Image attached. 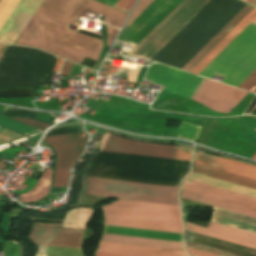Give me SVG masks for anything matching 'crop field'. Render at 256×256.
Here are the masks:
<instances>
[{"label":"crop field","instance_id":"obj_1","mask_svg":"<svg viewBox=\"0 0 256 256\" xmlns=\"http://www.w3.org/2000/svg\"><path fill=\"white\" fill-rule=\"evenodd\" d=\"M90 10L104 17L105 23L121 28L127 13L94 0H44L16 44L39 47L78 64L85 56L96 60L102 41L66 29Z\"/></svg>","mask_w":256,"mask_h":256},{"label":"crop field","instance_id":"obj_2","mask_svg":"<svg viewBox=\"0 0 256 256\" xmlns=\"http://www.w3.org/2000/svg\"><path fill=\"white\" fill-rule=\"evenodd\" d=\"M244 6L211 0L152 60L181 69Z\"/></svg>","mask_w":256,"mask_h":256},{"label":"crop field","instance_id":"obj_3","mask_svg":"<svg viewBox=\"0 0 256 256\" xmlns=\"http://www.w3.org/2000/svg\"><path fill=\"white\" fill-rule=\"evenodd\" d=\"M256 24V19L253 21ZM251 23L199 76L225 77L222 83L237 87L256 68V25ZM256 93V69L238 86Z\"/></svg>","mask_w":256,"mask_h":256},{"label":"crop field","instance_id":"obj_4","mask_svg":"<svg viewBox=\"0 0 256 256\" xmlns=\"http://www.w3.org/2000/svg\"><path fill=\"white\" fill-rule=\"evenodd\" d=\"M105 225L182 233L179 206L119 200L102 207Z\"/></svg>","mask_w":256,"mask_h":256},{"label":"crop field","instance_id":"obj_5","mask_svg":"<svg viewBox=\"0 0 256 256\" xmlns=\"http://www.w3.org/2000/svg\"><path fill=\"white\" fill-rule=\"evenodd\" d=\"M56 59L40 50L8 45L0 59V88L50 83Z\"/></svg>","mask_w":256,"mask_h":256},{"label":"crop field","instance_id":"obj_6","mask_svg":"<svg viewBox=\"0 0 256 256\" xmlns=\"http://www.w3.org/2000/svg\"><path fill=\"white\" fill-rule=\"evenodd\" d=\"M179 188L88 177L85 194L178 205Z\"/></svg>","mask_w":256,"mask_h":256},{"label":"crop field","instance_id":"obj_7","mask_svg":"<svg viewBox=\"0 0 256 256\" xmlns=\"http://www.w3.org/2000/svg\"><path fill=\"white\" fill-rule=\"evenodd\" d=\"M211 221L256 233V219L218 208L213 207ZM212 222L208 228L186 222L185 223L188 231L204 234L256 249V234Z\"/></svg>","mask_w":256,"mask_h":256},{"label":"crop field","instance_id":"obj_8","mask_svg":"<svg viewBox=\"0 0 256 256\" xmlns=\"http://www.w3.org/2000/svg\"><path fill=\"white\" fill-rule=\"evenodd\" d=\"M194 163L256 180V166H252L240 161L195 152ZM195 164L192 170L193 173L201 174L204 176H208L211 178L219 179L222 181L230 182L233 184H237L240 186L256 190V181L220 172L210 168L202 167Z\"/></svg>","mask_w":256,"mask_h":256},{"label":"crop field","instance_id":"obj_9","mask_svg":"<svg viewBox=\"0 0 256 256\" xmlns=\"http://www.w3.org/2000/svg\"><path fill=\"white\" fill-rule=\"evenodd\" d=\"M181 0H154L120 34L117 41L137 45Z\"/></svg>","mask_w":256,"mask_h":256},{"label":"crop field","instance_id":"obj_10","mask_svg":"<svg viewBox=\"0 0 256 256\" xmlns=\"http://www.w3.org/2000/svg\"><path fill=\"white\" fill-rule=\"evenodd\" d=\"M246 94L247 92L205 79L193 100L215 111L230 112Z\"/></svg>","mask_w":256,"mask_h":256},{"label":"crop field","instance_id":"obj_11","mask_svg":"<svg viewBox=\"0 0 256 256\" xmlns=\"http://www.w3.org/2000/svg\"><path fill=\"white\" fill-rule=\"evenodd\" d=\"M203 81L204 78L157 63L151 83L166 85L163 91L192 98Z\"/></svg>","mask_w":256,"mask_h":256},{"label":"crop field","instance_id":"obj_12","mask_svg":"<svg viewBox=\"0 0 256 256\" xmlns=\"http://www.w3.org/2000/svg\"><path fill=\"white\" fill-rule=\"evenodd\" d=\"M100 150L175 159L176 147L143 143L106 133Z\"/></svg>","mask_w":256,"mask_h":256},{"label":"crop field","instance_id":"obj_13","mask_svg":"<svg viewBox=\"0 0 256 256\" xmlns=\"http://www.w3.org/2000/svg\"><path fill=\"white\" fill-rule=\"evenodd\" d=\"M182 191L256 211V199L192 180H184Z\"/></svg>","mask_w":256,"mask_h":256},{"label":"crop field","instance_id":"obj_14","mask_svg":"<svg viewBox=\"0 0 256 256\" xmlns=\"http://www.w3.org/2000/svg\"><path fill=\"white\" fill-rule=\"evenodd\" d=\"M84 231L34 227L29 235L36 245L81 249Z\"/></svg>","mask_w":256,"mask_h":256},{"label":"crop field","instance_id":"obj_15","mask_svg":"<svg viewBox=\"0 0 256 256\" xmlns=\"http://www.w3.org/2000/svg\"><path fill=\"white\" fill-rule=\"evenodd\" d=\"M97 251L135 256H188L186 251L121 244L105 241L100 242V246Z\"/></svg>","mask_w":256,"mask_h":256},{"label":"crop field","instance_id":"obj_16","mask_svg":"<svg viewBox=\"0 0 256 256\" xmlns=\"http://www.w3.org/2000/svg\"><path fill=\"white\" fill-rule=\"evenodd\" d=\"M253 8L245 6L214 38H212L183 68L190 72L225 36H227Z\"/></svg>","mask_w":256,"mask_h":256},{"label":"crop field","instance_id":"obj_17","mask_svg":"<svg viewBox=\"0 0 256 256\" xmlns=\"http://www.w3.org/2000/svg\"><path fill=\"white\" fill-rule=\"evenodd\" d=\"M256 17L254 9L223 41H221L192 71L198 75L228 44H230Z\"/></svg>","mask_w":256,"mask_h":256},{"label":"crop field","instance_id":"obj_18","mask_svg":"<svg viewBox=\"0 0 256 256\" xmlns=\"http://www.w3.org/2000/svg\"><path fill=\"white\" fill-rule=\"evenodd\" d=\"M104 233L182 242V239H181L182 234H178V233L148 231V230L109 227V226H105Z\"/></svg>","mask_w":256,"mask_h":256},{"label":"crop field","instance_id":"obj_19","mask_svg":"<svg viewBox=\"0 0 256 256\" xmlns=\"http://www.w3.org/2000/svg\"><path fill=\"white\" fill-rule=\"evenodd\" d=\"M102 240L184 250L182 243L104 234Z\"/></svg>","mask_w":256,"mask_h":256},{"label":"crop field","instance_id":"obj_20","mask_svg":"<svg viewBox=\"0 0 256 256\" xmlns=\"http://www.w3.org/2000/svg\"><path fill=\"white\" fill-rule=\"evenodd\" d=\"M52 169L46 168L41 178L36 183L34 189L20 197L21 202H32L43 198L48 192L51 183Z\"/></svg>","mask_w":256,"mask_h":256},{"label":"crop field","instance_id":"obj_21","mask_svg":"<svg viewBox=\"0 0 256 256\" xmlns=\"http://www.w3.org/2000/svg\"><path fill=\"white\" fill-rule=\"evenodd\" d=\"M93 214V209L76 208L67 213L62 227L84 230L85 224Z\"/></svg>","mask_w":256,"mask_h":256},{"label":"crop field","instance_id":"obj_22","mask_svg":"<svg viewBox=\"0 0 256 256\" xmlns=\"http://www.w3.org/2000/svg\"><path fill=\"white\" fill-rule=\"evenodd\" d=\"M88 137L81 138L79 133L44 137L43 141L53 149L84 146Z\"/></svg>","mask_w":256,"mask_h":256},{"label":"crop field","instance_id":"obj_23","mask_svg":"<svg viewBox=\"0 0 256 256\" xmlns=\"http://www.w3.org/2000/svg\"><path fill=\"white\" fill-rule=\"evenodd\" d=\"M84 147L59 149L55 150L57 153V167L56 169H71Z\"/></svg>","mask_w":256,"mask_h":256},{"label":"crop field","instance_id":"obj_24","mask_svg":"<svg viewBox=\"0 0 256 256\" xmlns=\"http://www.w3.org/2000/svg\"><path fill=\"white\" fill-rule=\"evenodd\" d=\"M181 197L256 218V212L246 210V209H242V208H239V207H235V206H232V205H228V204H225V203H221V202H218V201H214V200H211V199H207V198H204V197L196 196V195L189 194V193L182 192V191H181Z\"/></svg>","mask_w":256,"mask_h":256},{"label":"crop field","instance_id":"obj_25","mask_svg":"<svg viewBox=\"0 0 256 256\" xmlns=\"http://www.w3.org/2000/svg\"><path fill=\"white\" fill-rule=\"evenodd\" d=\"M0 125L8 127L10 129H13V130H16L18 132L24 133L26 135L33 134V133H36V132H40L38 130H35L31 127H28L26 125H23L21 123H18L16 121H13V120H11L9 118H6V117H3V116H0Z\"/></svg>","mask_w":256,"mask_h":256},{"label":"crop field","instance_id":"obj_26","mask_svg":"<svg viewBox=\"0 0 256 256\" xmlns=\"http://www.w3.org/2000/svg\"><path fill=\"white\" fill-rule=\"evenodd\" d=\"M199 128L200 127L195 126L193 124L183 122L176 137H181L184 139L195 141Z\"/></svg>","mask_w":256,"mask_h":256},{"label":"crop field","instance_id":"obj_27","mask_svg":"<svg viewBox=\"0 0 256 256\" xmlns=\"http://www.w3.org/2000/svg\"><path fill=\"white\" fill-rule=\"evenodd\" d=\"M17 2L18 0H1L0 1V27Z\"/></svg>","mask_w":256,"mask_h":256},{"label":"crop field","instance_id":"obj_28","mask_svg":"<svg viewBox=\"0 0 256 256\" xmlns=\"http://www.w3.org/2000/svg\"><path fill=\"white\" fill-rule=\"evenodd\" d=\"M69 171L55 170L53 187H66Z\"/></svg>","mask_w":256,"mask_h":256},{"label":"crop field","instance_id":"obj_29","mask_svg":"<svg viewBox=\"0 0 256 256\" xmlns=\"http://www.w3.org/2000/svg\"><path fill=\"white\" fill-rule=\"evenodd\" d=\"M152 1H153V0H140V2L137 4V6L134 8L133 12L131 13V15H130L128 21H127V23H126L125 26H124V28L138 15L150 2H152ZM150 4H151V3H150ZM150 4H149V5H150ZM149 5H148V6H149ZM148 6H147V7H148ZM147 7H146V8H147ZM146 8H145V9H146ZM145 9H144V10H145ZM144 10H143V11H144ZM143 11H142V12H143ZM142 12H141V13H142ZM141 13H140V14H141ZM124 28H123V29H124Z\"/></svg>","mask_w":256,"mask_h":256},{"label":"crop field","instance_id":"obj_30","mask_svg":"<svg viewBox=\"0 0 256 256\" xmlns=\"http://www.w3.org/2000/svg\"><path fill=\"white\" fill-rule=\"evenodd\" d=\"M186 243H187L188 247L196 248V249H199V250L207 251V252L218 254V255H221V256H237V255H234V254L219 251V250H216V249H212V248L205 247V246H202V245L194 244V243H191V242L186 241Z\"/></svg>","mask_w":256,"mask_h":256},{"label":"crop field","instance_id":"obj_31","mask_svg":"<svg viewBox=\"0 0 256 256\" xmlns=\"http://www.w3.org/2000/svg\"><path fill=\"white\" fill-rule=\"evenodd\" d=\"M11 119L22 122L24 124H27V125L32 126L34 128H37L39 130H42V129L50 126L48 124H44V123H41V122H38V121H35V120H31V119H28V118H11Z\"/></svg>","mask_w":256,"mask_h":256},{"label":"crop field","instance_id":"obj_32","mask_svg":"<svg viewBox=\"0 0 256 256\" xmlns=\"http://www.w3.org/2000/svg\"><path fill=\"white\" fill-rule=\"evenodd\" d=\"M192 148L179 147L176 159L191 161Z\"/></svg>","mask_w":256,"mask_h":256},{"label":"crop field","instance_id":"obj_33","mask_svg":"<svg viewBox=\"0 0 256 256\" xmlns=\"http://www.w3.org/2000/svg\"><path fill=\"white\" fill-rule=\"evenodd\" d=\"M137 0H119L115 5V8L126 11L129 13L133 5Z\"/></svg>","mask_w":256,"mask_h":256},{"label":"crop field","instance_id":"obj_34","mask_svg":"<svg viewBox=\"0 0 256 256\" xmlns=\"http://www.w3.org/2000/svg\"><path fill=\"white\" fill-rule=\"evenodd\" d=\"M119 30L114 29L112 27L108 28V40H107V45H110L111 42L115 39L117 33Z\"/></svg>","mask_w":256,"mask_h":256},{"label":"crop field","instance_id":"obj_35","mask_svg":"<svg viewBox=\"0 0 256 256\" xmlns=\"http://www.w3.org/2000/svg\"><path fill=\"white\" fill-rule=\"evenodd\" d=\"M188 250H189L191 256H218V255L210 254V253L199 251V250L192 249V248H188Z\"/></svg>","mask_w":256,"mask_h":256},{"label":"crop field","instance_id":"obj_36","mask_svg":"<svg viewBox=\"0 0 256 256\" xmlns=\"http://www.w3.org/2000/svg\"><path fill=\"white\" fill-rule=\"evenodd\" d=\"M155 64L149 65L145 79H148V80L151 79L153 72H154Z\"/></svg>","mask_w":256,"mask_h":256},{"label":"crop field","instance_id":"obj_37","mask_svg":"<svg viewBox=\"0 0 256 256\" xmlns=\"http://www.w3.org/2000/svg\"><path fill=\"white\" fill-rule=\"evenodd\" d=\"M70 62L65 61L61 74L67 75L70 67Z\"/></svg>","mask_w":256,"mask_h":256},{"label":"crop field","instance_id":"obj_38","mask_svg":"<svg viewBox=\"0 0 256 256\" xmlns=\"http://www.w3.org/2000/svg\"><path fill=\"white\" fill-rule=\"evenodd\" d=\"M116 68H117V67L110 65L109 68H108V71H107V75H106V76L111 75V74H114V73L116 72Z\"/></svg>","mask_w":256,"mask_h":256},{"label":"crop field","instance_id":"obj_39","mask_svg":"<svg viewBox=\"0 0 256 256\" xmlns=\"http://www.w3.org/2000/svg\"><path fill=\"white\" fill-rule=\"evenodd\" d=\"M96 256H126V255H117V254H109V253L96 252Z\"/></svg>","mask_w":256,"mask_h":256},{"label":"crop field","instance_id":"obj_40","mask_svg":"<svg viewBox=\"0 0 256 256\" xmlns=\"http://www.w3.org/2000/svg\"><path fill=\"white\" fill-rule=\"evenodd\" d=\"M98 1L104 2V3L109 4L114 7V5L116 4V2L118 0H98Z\"/></svg>","mask_w":256,"mask_h":256},{"label":"crop field","instance_id":"obj_41","mask_svg":"<svg viewBox=\"0 0 256 256\" xmlns=\"http://www.w3.org/2000/svg\"><path fill=\"white\" fill-rule=\"evenodd\" d=\"M61 62H62V59L58 58L57 59V62H56V65H55V68H54V71H59L60 69V66H61Z\"/></svg>","mask_w":256,"mask_h":256},{"label":"crop field","instance_id":"obj_42","mask_svg":"<svg viewBox=\"0 0 256 256\" xmlns=\"http://www.w3.org/2000/svg\"><path fill=\"white\" fill-rule=\"evenodd\" d=\"M7 45L0 44V57L3 54L4 50L6 49Z\"/></svg>","mask_w":256,"mask_h":256},{"label":"crop field","instance_id":"obj_43","mask_svg":"<svg viewBox=\"0 0 256 256\" xmlns=\"http://www.w3.org/2000/svg\"><path fill=\"white\" fill-rule=\"evenodd\" d=\"M247 3L256 7V0H248Z\"/></svg>","mask_w":256,"mask_h":256},{"label":"crop field","instance_id":"obj_44","mask_svg":"<svg viewBox=\"0 0 256 256\" xmlns=\"http://www.w3.org/2000/svg\"><path fill=\"white\" fill-rule=\"evenodd\" d=\"M5 166L7 165L0 163V169H4Z\"/></svg>","mask_w":256,"mask_h":256},{"label":"crop field","instance_id":"obj_45","mask_svg":"<svg viewBox=\"0 0 256 256\" xmlns=\"http://www.w3.org/2000/svg\"><path fill=\"white\" fill-rule=\"evenodd\" d=\"M250 115H256V111L254 113L250 114Z\"/></svg>","mask_w":256,"mask_h":256},{"label":"crop field","instance_id":"obj_46","mask_svg":"<svg viewBox=\"0 0 256 256\" xmlns=\"http://www.w3.org/2000/svg\"><path fill=\"white\" fill-rule=\"evenodd\" d=\"M253 159H255V160H256V154L254 155Z\"/></svg>","mask_w":256,"mask_h":256},{"label":"crop field","instance_id":"obj_47","mask_svg":"<svg viewBox=\"0 0 256 256\" xmlns=\"http://www.w3.org/2000/svg\"><path fill=\"white\" fill-rule=\"evenodd\" d=\"M243 1H245V2H246L247 0H243Z\"/></svg>","mask_w":256,"mask_h":256},{"label":"crop field","instance_id":"obj_48","mask_svg":"<svg viewBox=\"0 0 256 256\" xmlns=\"http://www.w3.org/2000/svg\"><path fill=\"white\" fill-rule=\"evenodd\" d=\"M254 131H256V129Z\"/></svg>","mask_w":256,"mask_h":256}]
</instances>
